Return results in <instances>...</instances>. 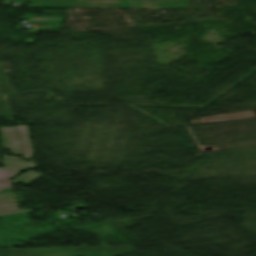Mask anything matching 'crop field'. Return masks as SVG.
Segmentation results:
<instances>
[{
	"instance_id": "1",
	"label": "crop field",
	"mask_w": 256,
	"mask_h": 256,
	"mask_svg": "<svg viewBox=\"0 0 256 256\" xmlns=\"http://www.w3.org/2000/svg\"><path fill=\"white\" fill-rule=\"evenodd\" d=\"M74 7L132 8L131 0H78Z\"/></svg>"
},
{
	"instance_id": "2",
	"label": "crop field",
	"mask_w": 256,
	"mask_h": 256,
	"mask_svg": "<svg viewBox=\"0 0 256 256\" xmlns=\"http://www.w3.org/2000/svg\"><path fill=\"white\" fill-rule=\"evenodd\" d=\"M3 63H0V94L13 93L3 69Z\"/></svg>"
},
{
	"instance_id": "3",
	"label": "crop field",
	"mask_w": 256,
	"mask_h": 256,
	"mask_svg": "<svg viewBox=\"0 0 256 256\" xmlns=\"http://www.w3.org/2000/svg\"><path fill=\"white\" fill-rule=\"evenodd\" d=\"M0 117L12 118L9 110L8 102L0 99Z\"/></svg>"
}]
</instances>
